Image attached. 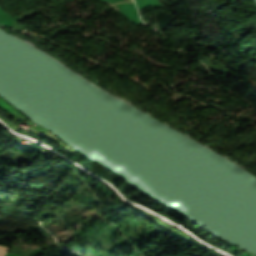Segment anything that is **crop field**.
<instances>
[{
  "instance_id": "8a807250",
  "label": "crop field",
  "mask_w": 256,
  "mask_h": 256,
  "mask_svg": "<svg viewBox=\"0 0 256 256\" xmlns=\"http://www.w3.org/2000/svg\"><path fill=\"white\" fill-rule=\"evenodd\" d=\"M8 248H4L0 246V256H5V253L7 252Z\"/></svg>"
}]
</instances>
